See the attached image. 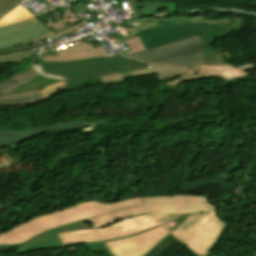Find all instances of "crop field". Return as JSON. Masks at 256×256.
Instances as JSON below:
<instances>
[{
  "label": "crop field",
  "mask_w": 256,
  "mask_h": 256,
  "mask_svg": "<svg viewBox=\"0 0 256 256\" xmlns=\"http://www.w3.org/2000/svg\"><path fill=\"white\" fill-rule=\"evenodd\" d=\"M151 67H154V65L125 58L120 55L110 58H92L73 62L41 63L40 65H34V69L40 75L64 80L65 83L97 75L104 76Z\"/></svg>",
  "instance_id": "obj_4"
},
{
  "label": "crop field",
  "mask_w": 256,
  "mask_h": 256,
  "mask_svg": "<svg viewBox=\"0 0 256 256\" xmlns=\"http://www.w3.org/2000/svg\"><path fill=\"white\" fill-rule=\"evenodd\" d=\"M142 199V206L87 219L94 224L91 230L60 233L59 236L64 245L100 241L155 227L181 213L216 209L207 202V197L201 196L178 195Z\"/></svg>",
  "instance_id": "obj_1"
},
{
  "label": "crop field",
  "mask_w": 256,
  "mask_h": 256,
  "mask_svg": "<svg viewBox=\"0 0 256 256\" xmlns=\"http://www.w3.org/2000/svg\"><path fill=\"white\" fill-rule=\"evenodd\" d=\"M77 22H81V19L77 17V15L70 9H66L64 10V17L60 20H57L55 22H50V23H47L45 24L49 29L51 27L54 28V30H57V29H60L62 27H65V26H68L70 24H73V23H77ZM53 30V31H54ZM52 36H56L53 32L48 34V35H45V36H42V37H39V38H36L34 40H31V41H35V40H38V39H43V38H48V37H52ZM29 42V41H28ZM25 43V42H24ZM21 44V43H20ZM17 45V44H16ZM14 52H18L17 49L15 48V46H9V47H5V48H1L0 49V55H3V54H9V53H14Z\"/></svg>",
  "instance_id": "obj_14"
},
{
  "label": "crop field",
  "mask_w": 256,
  "mask_h": 256,
  "mask_svg": "<svg viewBox=\"0 0 256 256\" xmlns=\"http://www.w3.org/2000/svg\"><path fill=\"white\" fill-rule=\"evenodd\" d=\"M85 222H89L86 219L68 224L59 228H55L44 232L29 241L25 242V245L18 249L19 254L23 252H29L34 250H40L45 248H51L56 246H62L63 243L61 242L60 238L58 237L57 233L72 231V230H84L88 229V226Z\"/></svg>",
  "instance_id": "obj_10"
},
{
  "label": "crop field",
  "mask_w": 256,
  "mask_h": 256,
  "mask_svg": "<svg viewBox=\"0 0 256 256\" xmlns=\"http://www.w3.org/2000/svg\"><path fill=\"white\" fill-rule=\"evenodd\" d=\"M128 5L131 8L130 11H133L134 16L130 17V19H137L138 16L144 17V16H154L157 14H170L174 11L179 10L177 5L174 3H164V2H158V1H152V0H146V2L137 3V0H127ZM120 7V11L124 10L123 3L117 5ZM137 10L138 16L135 12Z\"/></svg>",
  "instance_id": "obj_13"
},
{
  "label": "crop field",
  "mask_w": 256,
  "mask_h": 256,
  "mask_svg": "<svg viewBox=\"0 0 256 256\" xmlns=\"http://www.w3.org/2000/svg\"><path fill=\"white\" fill-rule=\"evenodd\" d=\"M206 78L203 69L201 66H193V70H190L187 72V74L181 75L175 80L168 81V86H173L176 84H179L181 82H184L186 80L195 81Z\"/></svg>",
  "instance_id": "obj_20"
},
{
  "label": "crop field",
  "mask_w": 256,
  "mask_h": 256,
  "mask_svg": "<svg viewBox=\"0 0 256 256\" xmlns=\"http://www.w3.org/2000/svg\"><path fill=\"white\" fill-rule=\"evenodd\" d=\"M151 74H156V71L154 68L140 70V71H134V72H128V73L114 74V75H110V76H104L101 78L104 81V83H113V82H121V81H123V78H127V77L151 75Z\"/></svg>",
  "instance_id": "obj_18"
},
{
  "label": "crop field",
  "mask_w": 256,
  "mask_h": 256,
  "mask_svg": "<svg viewBox=\"0 0 256 256\" xmlns=\"http://www.w3.org/2000/svg\"><path fill=\"white\" fill-rule=\"evenodd\" d=\"M212 212H215V211H212ZM207 213H211V212H207ZM200 214H206V213L184 214V215H181V216L177 217L176 219H174L170 222L161 223V225L171 233L172 231L176 230L180 226L189 222L193 215H200Z\"/></svg>",
  "instance_id": "obj_21"
},
{
  "label": "crop field",
  "mask_w": 256,
  "mask_h": 256,
  "mask_svg": "<svg viewBox=\"0 0 256 256\" xmlns=\"http://www.w3.org/2000/svg\"><path fill=\"white\" fill-rule=\"evenodd\" d=\"M34 52L35 51H31V52H27V53L2 57V58H0V64H4V63H8V62H22V61L32 57Z\"/></svg>",
  "instance_id": "obj_23"
},
{
  "label": "crop field",
  "mask_w": 256,
  "mask_h": 256,
  "mask_svg": "<svg viewBox=\"0 0 256 256\" xmlns=\"http://www.w3.org/2000/svg\"><path fill=\"white\" fill-rule=\"evenodd\" d=\"M168 231L162 226L134 237L108 242L115 256H140Z\"/></svg>",
  "instance_id": "obj_8"
},
{
  "label": "crop field",
  "mask_w": 256,
  "mask_h": 256,
  "mask_svg": "<svg viewBox=\"0 0 256 256\" xmlns=\"http://www.w3.org/2000/svg\"><path fill=\"white\" fill-rule=\"evenodd\" d=\"M169 232L163 236L157 243H155L149 250H147L142 256H146L149 252H151L157 245H159L165 238L169 236ZM89 249L94 250V251H106L109 256H114L112 252L109 250L107 247L106 243L102 244H96V245H90L88 246Z\"/></svg>",
  "instance_id": "obj_22"
},
{
  "label": "crop field",
  "mask_w": 256,
  "mask_h": 256,
  "mask_svg": "<svg viewBox=\"0 0 256 256\" xmlns=\"http://www.w3.org/2000/svg\"><path fill=\"white\" fill-rule=\"evenodd\" d=\"M238 68H241L246 71L255 67L252 64H246V65L238 66Z\"/></svg>",
  "instance_id": "obj_28"
},
{
  "label": "crop field",
  "mask_w": 256,
  "mask_h": 256,
  "mask_svg": "<svg viewBox=\"0 0 256 256\" xmlns=\"http://www.w3.org/2000/svg\"><path fill=\"white\" fill-rule=\"evenodd\" d=\"M126 44L131 48L132 51L126 52L127 54L132 53V52H136V51H141V50H145L144 45L142 44V42L140 41L139 37L131 39V40H127L125 41ZM124 42V43H125Z\"/></svg>",
  "instance_id": "obj_25"
},
{
  "label": "crop field",
  "mask_w": 256,
  "mask_h": 256,
  "mask_svg": "<svg viewBox=\"0 0 256 256\" xmlns=\"http://www.w3.org/2000/svg\"><path fill=\"white\" fill-rule=\"evenodd\" d=\"M23 1L24 0H0V16L2 17Z\"/></svg>",
  "instance_id": "obj_24"
},
{
  "label": "crop field",
  "mask_w": 256,
  "mask_h": 256,
  "mask_svg": "<svg viewBox=\"0 0 256 256\" xmlns=\"http://www.w3.org/2000/svg\"><path fill=\"white\" fill-rule=\"evenodd\" d=\"M207 78H220L222 80L233 79L248 73L242 72L231 65L202 66Z\"/></svg>",
  "instance_id": "obj_15"
},
{
  "label": "crop field",
  "mask_w": 256,
  "mask_h": 256,
  "mask_svg": "<svg viewBox=\"0 0 256 256\" xmlns=\"http://www.w3.org/2000/svg\"><path fill=\"white\" fill-rule=\"evenodd\" d=\"M1 18V17H0Z\"/></svg>",
  "instance_id": "obj_30"
},
{
  "label": "crop field",
  "mask_w": 256,
  "mask_h": 256,
  "mask_svg": "<svg viewBox=\"0 0 256 256\" xmlns=\"http://www.w3.org/2000/svg\"><path fill=\"white\" fill-rule=\"evenodd\" d=\"M226 226H227V224L224 226V228L222 229V231L220 232V234L218 235V237L216 238L214 243L211 245V247L208 249V251L204 254V256H209L210 255L211 251L213 250L214 246L216 245L217 241L219 240V238L222 235L223 231L225 230Z\"/></svg>",
  "instance_id": "obj_26"
},
{
  "label": "crop field",
  "mask_w": 256,
  "mask_h": 256,
  "mask_svg": "<svg viewBox=\"0 0 256 256\" xmlns=\"http://www.w3.org/2000/svg\"><path fill=\"white\" fill-rule=\"evenodd\" d=\"M31 17H34V15L20 5L17 9H15L0 20V26L19 22Z\"/></svg>",
  "instance_id": "obj_17"
},
{
  "label": "crop field",
  "mask_w": 256,
  "mask_h": 256,
  "mask_svg": "<svg viewBox=\"0 0 256 256\" xmlns=\"http://www.w3.org/2000/svg\"><path fill=\"white\" fill-rule=\"evenodd\" d=\"M37 76L39 75L31 68L1 83L0 93L7 94ZM63 87H65L64 81L51 85L49 87H46L45 88L46 90L41 91L39 93L37 91H34L30 93L9 94L5 97L0 98V105H19V104H25L30 102L41 101L53 95L51 92L56 91Z\"/></svg>",
  "instance_id": "obj_7"
},
{
  "label": "crop field",
  "mask_w": 256,
  "mask_h": 256,
  "mask_svg": "<svg viewBox=\"0 0 256 256\" xmlns=\"http://www.w3.org/2000/svg\"><path fill=\"white\" fill-rule=\"evenodd\" d=\"M110 1H113V0H110ZM118 3L122 2V1H125V0H116Z\"/></svg>",
  "instance_id": "obj_29"
},
{
  "label": "crop field",
  "mask_w": 256,
  "mask_h": 256,
  "mask_svg": "<svg viewBox=\"0 0 256 256\" xmlns=\"http://www.w3.org/2000/svg\"><path fill=\"white\" fill-rule=\"evenodd\" d=\"M91 57H109L102 46L93 49L92 44H81L65 49H61L57 57H43L42 62H62L72 61Z\"/></svg>",
  "instance_id": "obj_12"
},
{
  "label": "crop field",
  "mask_w": 256,
  "mask_h": 256,
  "mask_svg": "<svg viewBox=\"0 0 256 256\" xmlns=\"http://www.w3.org/2000/svg\"><path fill=\"white\" fill-rule=\"evenodd\" d=\"M92 124L94 123L73 122V123L48 124V125H43V126L31 129V130L21 131V132H10V131L0 130V146H4L13 142L26 139L37 133L48 132V131L60 132V131H66V130L80 129V128L88 127Z\"/></svg>",
  "instance_id": "obj_11"
},
{
  "label": "crop field",
  "mask_w": 256,
  "mask_h": 256,
  "mask_svg": "<svg viewBox=\"0 0 256 256\" xmlns=\"http://www.w3.org/2000/svg\"><path fill=\"white\" fill-rule=\"evenodd\" d=\"M137 22L153 25L151 29L131 35L132 38L139 36L147 50L200 35L204 64L224 63L222 53L209 45L218 37L243 27L241 19L207 21L205 16H172L134 23ZM119 25L132 26L129 23Z\"/></svg>",
  "instance_id": "obj_2"
},
{
  "label": "crop field",
  "mask_w": 256,
  "mask_h": 256,
  "mask_svg": "<svg viewBox=\"0 0 256 256\" xmlns=\"http://www.w3.org/2000/svg\"><path fill=\"white\" fill-rule=\"evenodd\" d=\"M223 226L224 223L219 221L215 213L193 216L189 223L171 235L196 255L203 256Z\"/></svg>",
  "instance_id": "obj_5"
},
{
  "label": "crop field",
  "mask_w": 256,
  "mask_h": 256,
  "mask_svg": "<svg viewBox=\"0 0 256 256\" xmlns=\"http://www.w3.org/2000/svg\"><path fill=\"white\" fill-rule=\"evenodd\" d=\"M126 57L156 64H203L199 36Z\"/></svg>",
  "instance_id": "obj_6"
},
{
  "label": "crop field",
  "mask_w": 256,
  "mask_h": 256,
  "mask_svg": "<svg viewBox=\"0 0 256 256\" xmlns=\"http://www.w3.org/2000/svg\"><path fill=\"white\" fill-rule=\"evenodd\" d=\"M36 17L0 27V47L28 41L51 32ZM27 28V29H25Z\"/></svg>",
  "instance_id": "obj_9"
},
{
  "label": "crop field",
  "mask_w": 256,
  "mask_h": 256,
  "mask_svg": "<svg viewBox=\"0 0 256 256\" xmlns=\"http://www.w3.org/2000/svg\"><path fill=\"white\" fill-rule=\"evenodd\" d=\"M158 73V81L174 76H178L180 74H184L187 72L186 67H176L169 65H155Z\"/></svg>",
  "instance_id": "obj_19"
},
{
  "label": "crop field",
  "mask_w": 256,
  "mask_h": 256,
  "mask_svg": "<svg viewBox=\"0 0 256 256\" xmlns=\"http://www.w3.org/2000/svg\"><path fill=\"white\" fill-rule=\"evenodd\" d=\"M82 25H84V23H83V24H80L78 27L75 26V27L66 29V30H64V31H62V32L56 33V34H57L58 36H60V35L66 34V33H68V32H72V31H74V30L80 29V27H82Z\"/></svg>",
  "instance_id": "obj_27"
},
{
  "label": "crop field",
  "mask_w": 256,
  "mask_h": 256,
  "mask_svg": "<svg viewBox=\"0 0 256 256\" xmlns=\"http://www.w3.org/2000/svg\"><path fill=\"white\" fill-rule=\"evenodd\" d=\"M59 81L60 80H55V79H50V78L39 76V77L33 79L32 81L26 83L25 85L21 86L20 88L14 90L11 93L30 92V91L41 89L43 87H46L48 85L54 84Z\"/></svg>",
  "instance_id": "obj_16"
},
{
  "label": "crop field",
  "mask_w": 256,
  "mask_h": 256,
  "mask_svg": "<svg viewBox=\"0 0 256 256\" xmlns=\"http://www.w3.org/2000/svg\"><path fill=\"white\" fill-rule=\"evenodd\" d=\"M140 197L123 202L106 204L100 201H85L27 221L12 230L0 234V245L20 244L46 230L72 223L84 218L103 215L111 211L142 205Z\"/></svg>",
  "instance_id": "obj_3"
}]
</instances>
